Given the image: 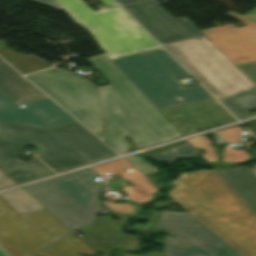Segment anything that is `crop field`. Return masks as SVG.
Masks as SVG:
<instances>
[{
	"mask_svg": "<svg viewBox=\"0 0 256 256\" xmlns=\"http://www.w3.org/2000/svg\"><path fill=\"white\" fill-rule=\"evenodd\" d=\"M27 145L56 172L117 155L77 122L49 130L0 123V169L16 184L53 174L34 155L18 160Z\"/></svg>",
	"mask_w": 256,
	"mask_h": 256,
	"instance_id": "crop-field-1",
	"label": "crop field"
},
{
	"mask_svg": "<svg viewBox=\"0 0 256 256\" xmlns=\"http://www.w3.org/2000/svg\"><path fill=\"white\" fill-rule=\"evenodd\" d=\"M87 60L110 84L99 89L105 117L104 140L114 150L119 154L128 151L123 138L126 135L137 148L181 136L105 54Z\"/></svg>",
	"mask_w": 256,
	"mask_h": 256,
	"instance_id": "crop-field-2",
	"label": "crop field"
},
{
	"mask_svg": "<svg viewBox=\"0 0 256 256\" xmlns=\"http://www.w3.org/2000/svg\"><path fill=\"white\" fill-rule=\"evenodd\" d=\"M169 193L185 210L244 256H256V215L215 171H196L173 181Z\"/></svg>",
	"mask_w": 256,
	"mask_h": 256,
	"instance_id": "crop-field-3",
	"label": "crop field"
},
{
	"mask_svg": "<svg viewBox=\"0 0 256 256\" xmlns=\"http://www.w3.org/2000/svg\"><path fill=\"white\" fill-rule=\"evenodd\" d=\"M112 62L158 110L212 98L200 85L184 89L176 79L189 74L163 49Z\"/></svg>",
	"mask_w": 256,
	"mask_h": 256,
	"instance_id": "crop-field-4",
	"label": "crop field"
},
{
	"mask_svg": "<svg viewBox=\"0 0 256 256\" xmlns=\"http://www.w3.org/2000/svg\"><path fill=\"white\" fill-rule=\"evenodd\" d=\"M79 25L87 28L111 59L160 49L120 7L92 12L82 0H55ZM108 6L113 0H101Z\"/></svg>",
	"mask_w": 256,
	"mask_h": 256,
	"instance_id": "crop-field-5",
	"label": "crop field"
},
{
	"mask_svg": "<svg viewBox=\"0 0 256 256\" xmlns=\"http://www.w3.org/2000/svg\"><path fill=\"white\" fill-rule=\"evenodd\" d=\"M90 169L23 187L71 231L91 220L101 202L103 182Z\"/></svg>",
	"mask_w": 256,
	"mask_h": 256,
	"instance_id": "crop-field-6",
	"label": "crop field"
},
{
	"mask_svg": "<svg viewBox=\"0 0 256 256\" xmlns=\"http://www.w3.org/2000/svg\"><path fill=\"white\" fill-rule=\"evenodd\" d=\"M164 47L218 100L254 87L210 40H192Z\"/></svg>",
	"mask_w": 256,
	"mask_h": 256,
	"instance_id": "crop-field-7",
	"label": "crop field"
},
{
	"mask_svg": "<svg viewBox=\"0 0 256 256\" xmlns=\"http://www.w3.org/2000/svg\"><path fill=\"white\" fill-rule=\"evenodd\" d=\"M25 77L101 138L102 116L93 83L72 72L56 68Z\"/></svg>",
	"mask_w": 256,
	"mask_h": 256,
	"instance_id": "crop-field-8",
	"label": "crop field"
},
{
	"mask_svg": "<svg viewBox=\"0 0 256 256\" xmlns=\"http://www.w3.org/2000/svg\"><path fill=\"white\" fill-rule=\"evenodd\" d=\"M68 232L47 210L18 215L0 198V244L11 256H27Z\"/></svg>",
	"mask_w": 256,
	"mask_h": 256,
	"instance_id": "crop-field-9",
	"label": "crop field"
},
{
	"mask_svg": "<svg viewBox=\"0 0 256 256\" xmlns=\"http://www.w3.org/2000/svg\"><path fill=\"white\" fill-rule=\"evenodd\" d=\"M155 227L178 235L165 238L166 256H241L188 213L162 212Z\"/></svg>",
	"mask_w": 256,
	"mask_h": 256,
	"instance_id": "crop-field-10",
	"label": "crop field"
},
{
	"mask_svg": "<svg viewBox=\"0 0 256 256\" xmlns=\"http://www.w3.org/2000/svg\"><path fill=\"white\" fill-rule=\"evenodd\" d=\"M161 44L204 36L187 18L175 19L156 0L124 6Z\"/></svg>",
	"mask_w": 256,
	"mask_h": 256,
	"instance_id": "crop-field-11",
	"label": "crop field"
},
{
	"mask_svg": "<svg viewBox=\"0 0 256 256\" xmlns=\"http://www.w3.org/2000/svg\"><path fill=\"white\" fill-rule=\"evenodd\" d=\"M226 15L246 24L236 28L232 24L202 30L223 54L234 64L256 61V24L230 11Z\"/></svg>",
	"mask_w": 256,
	"mask_h": 256,
	"instance_id": "crop-field-12",
	"label": "crop field"
},
{
	"mask_svg": "<svg viewBox=\"0 0 256 256\" xmlns=\"http://www.w3.org/2000/svg\"><path fill=\"white\" fill-rule=\"evenodd\" d=\"M19 109L0 92V122L51 128L75 121L48 98L28 102Z\"/></svg>",
	"mask_w": 256,
	"mask_h": 256,
	"instance_id": "crop-field-13",
	"label": "crop field"
},
{
	"mask_svg": "<svg viewBox=\"0 0 256 256\" xmlns=\"http://www.w3.org/2000/svg\"><path fill=\"white\" fill-rule=\"evenodd\" d=\"M182 134L196 132L195 124L201 129L232 119L213 99L164 109L160 111Z\"/></svg>",
	"mask_w": 256,
	"mask_h": 256,
	"instance_id": "crop-field-14",
	"label": "crop field"
},
{
	"mask_svg": "<svg viewBox=\"0 0 256 256\" xmlns=\"http://www.w3.org/2000/svg\"><path fill=\"white\" fill-rule=\"evenodd\" d=\"M119 227L120 225L109 216L97 218L89 224L88 228L81 229L87 236L81 240L95 251L96 249L104 250L105 254H109L111 248L123 243L118 239L125 240L127 250H132L138 241L133 236L122 233Z\"/></svg>",
	"mask_w": 256,
	"mask_h": 256,
	"instance_id": "crop-field-15",
	"label": "crop field"
},
{
	"mask_svg": "<svg viewBox=\"0 0 256 256\" xmlns=\"http://www.w3.org/2000/svg\"><path fill=\"white\" fill-rule=\"evenodd\" d=\"M0 91L16 105L45 97L2 60H0Z\"/></svg>",
	"mask_w": 256,
	"mask_h": 256,
	"instance_id": "crop-field-16",
	"label": "crop field"
},
{
	"mask_svg": "<svg viewBox=\"0 0 256 256\" xmlns=\"http://www.w3.org/2000/svg\"><path fill=\"white\" fill-rule=\"evenodd\" d=\"M117 182L108 183V189H119L128 194L129 199L146 203L155 199L156 189L149 179L135 168L120 175Z\"/></svg>",
	"mask_w": 256,
	"mask_h": 256,
	"instance_id": "crop-field-17",
	"label": "crop field"
},
{
	"mask_svg": "<svg viewBox=\"0 0 256 256\" xmlns=\"http://www.w3.org/2000/svg\"><path fill=\"white\" fill-rule=\"evenodd\" d=\"M216 172L256 214V175L248 168Z\"/></svg>",
	"mask_w": 256,
	"mask_h": 256,
	"instance_id": "crop-field-18",
	"label": "crop field"
},
{
	"mask_svg": "<svg viewBox=\"0 0 256 256\" xmlns=\"http://www.w3.org/2000/svg\"><path fill=\"white\" fill-rule=\"evenodd\" d=\"M94 253L89 246L74 234H69L36 254L42 256H81L78 252Z\"/></svg>",
	"mask_w": 256,
	"mask_h": 256,
	"instance_id": "crop-field-19",
	"label": "crop field"
},
{
	"mask_svg": "<svg viewBox=\"0 0 256 256\" xmlns=\"http://www.w3.org/2000/svg\"><path fill=\"white\" fill-rule=\"evenodd\" d=\"M5 46L7 45H0V48ZM0 57H2L23 74L50 67L47 65L46 61L34 55H23L9 48L1 49Z\"/></svg>",
	"mask_w": 256,
	"mask_h": 256,
	"instance_id": "crop-field-20",
	"label": "crop field"
},
{
	"mask_svg": "<svg viewBox=\"0 0 256 256\" xmlns=\"http://www.w3.org/2000/svg\"><path fill=\"white\" fill-rule=\"evenodd\" d=\"M0 197L18 214L45 209L22 188L0 194Z\"/></svg>",
	"mask_w": 256,
	"mask_h": 256,
	"instance_id": "crop-field-21",
	"label": "crop field"
},
{
	"mask_svg": "<svg viewBox=\"0 0 256 256\" xmlns=\"http://www.w3.org/2000/svg\"><path fill=\"white\" fill-rule=\"evenodd\" d=\"M221 103L237 117L249 114L248 110L256 105V87L223 100Z\"/></svg>",
	"mask_w": 256,
	"mask_h": 256,
	"instance_id": "crop-field-22",
	"label": "crop field"
},
{
	"mask_svg": "<svg viewBox=\"0 0 256 256\" xmlns=\"http://www.w3.org/2000/svg\"><path fill=\"white\" fill-rule=\"evenodd\" d=\"M196 153L197 151L192 147L190 143H188L183 146L164 152L162 154H159L153 157L152 159L160 162H167L176 159L179 155L183 157H191Z\"/></svg>",
	"mask_w": 256,
	"mask_h": 256,
	"instance_id": "crop-field-23",
	"label": "crop field"
},
{
	"mask_svg": "<svg viewBox=\"0 0 256 256\" xmlns=\"http://www.w3.org/2000/svg\"><path fill=\"white\" fill-rule=\"evenodd\" d=\"M189 142L193 147L199 152L203 151L201 154L207 162H217L218 159L214 153V148L211 145V141L204 136H199L196 138L189 139Z\"/></svg>",
	"mask_w": 256,
	"mask_h": 256,
	"instance_id": "crop-field-24",
	"label": "crop field"
},
{
	"mask_svg": "<svg viewBox=\"0 0 256 256\" xmlns=\"http://www.w3.org/2000/svg\"><path fill=\"white\" fill-rule=\"evenodd\" d=\"M132 167L133 166L130 165L127 161H125L124 159H121V160L110 162L104 165L93 167V169L100 175L115 176Z\"/></svg>",
	"mask_w": 256,
	"mask_h": 256,
	"instance_id": "crop-field-25",
	"label": "crop field"
},
{
	"mask_svg": "<svg viewBox=\"0 0 256 256\" xmlns=\"http://www.w3.org/2000/svg\"><path fill=\"white\" fill-rule=\"evenodd\" d=\"M256 158V150H252L249 154L246 151H237L233 148L223 150L222 162L228 163H241L249 159Z\"/></svg>",
	"mask_w": 256,
	"mask_h": 256,
	"instance_id": "crop-field-26",
	"label": "crop field"
},
{
	"mask_svg": "<svg viewBox=\"0 0 256 256\" xmlns=\"http://www.w3.org/2000/svg\"><path fill=\"white\" fill-rule=\"evenodd\" d=\"M243 129L241 127H235V128H231V129H227V130H223V131H219L218 133L228 142V143H232V142H243L240 138L245 137L243 136L240 131H242Z\"/></svg>",
	"mask_w": 256,
	"mask_h": 256,
	"instance_id": "crop-field-27",
	"label": "crop field"
},
{
	"mask_svg": "<svg viewBox=\"0 0 256 256\" xmlns=\"http://www.w3.org/2000/svg\"><path fill=\"white\" fill-rule=\"evenodd\" d=\"M256 86V62L236 66Z\"/></svg>",
	"mask_w": 256,
	"mask_h": 256,
	"instance_id": "crop-field-28",
	"label": "crop field"
},
{
	"mask_svg": "<svg viewBox=\"0 0 256 256\" xmlns=\"http://www.w3.org/2000/svg\"><path fill=\"white\" fill-rule=\"evenodd\" d=\"M128 159L132 164H134L138 169H140L144 174L152 173L158 170V168L146 163L139 156H132Z\"/></svg>",
	"mask_w": 256,
	"mask_h": 256,
	"instance_id": "crop-field-29",
	"label": "crop field"
},
{
	"mask_svg": "<svg viewBox=\"0 0 256 256\" xmlns=\"http://www.w3.org/2000/svg\"><path fill=\"white\" fill-rule=\"evenodd\" d=\"M185 143H188V141L186 140V141L179 142V143H176V144H172V145H168V146L161 147V148H158V149H154V150H151V151H147V152H145V155L152 157L156 154L162 153L164 151H167L169 149H172V148H175L177 146L183 145Z\"/></svg>",
	"mask_w": 256,
	"mask_h": 256,
	"instance_id": "crop-field-30",
	"label": "crop field"
},
{
	"mask_svg": "<svg viewBox=\"0 0 256 256\" xmlns=\"http://www.w3.org/2000/svg\"><path fill=\"white\" fill-rule=\"evenodd\" d=\"M11 185H15L14 181L11 180L0 170V188H4Z\"/></svg>",
	"mask_w": 256,
	"mask_h": 256,
	"instance_id": "crop-field-31",
	"label": "crop field"
},
{
	"mask_svg": "<svg viewBox=\"0 0 256 256\" xmlns=\"http://www.w3.org/2000/svg\"><path fill=\"white\" fill-rule=\"evenodd\" d=\"M54 9L62 10V8L54 0H30Z\"/></svg>",
	"mask_w": 256,
	"mask_h": 256,
	"instance_id": "crop-field-32",
	"label": "crop field"
},
{
	"mask_svg": "<svg viewBox=\"0 0 256 256\" xmlns=\"http://www.w3.org/2000/svg\"><path fill=\"white\" fill-rule=\"evenodd\" d=\"M254 22H256V8L250 10L249 12L245 13L244 15H242Z\"/></svg>",
	"mask_w": 256,
	"mask_h": 256,
	"instance_id": "crop-field-33",
	"label": "crop field"
},
{
	"mask_svg": "<svg viewBox=\"0 0 256 256\" xmlns=\"http://www.w3.org/2000/svg\"><path fill=\"white\" fill-rule=\"evenodd\" d=\"M245 126L248 127L250 132L256 136V121L245 124Z\"/></svg>",
	"mask_w": 256,
	"mask_h": 256,
	"instance_id": "crop-field-34",
	"label": "crop field"
},
{
	"mask_svg": "<svg viewBox=\"0 0 256 256\" xmlns=\"http://www.w3.org/2000/svg\"><path fill=\"white\" fill-rule=\"evenodd\" d=\"M210 134L214 136V139L216 140L217 144H226L217 133L213 132Z\"/></svg>",
	"mask_w": 256,
	"mask_h": 256,
	"instance_id": "crop-field-35",
	"label": "crop field"
},
{
	"mask_svg": "<svg viewBox=\"0 0 256 256\" xmlns=\"http://www.w3.org/2000/svg\"><path fill=\"white\" fill-rule=\"evenodd\" d=\"M121 5L132 3V2H137L141 0H117Z\"/></svg>",
	"mask_w": 256,
	"mask_h": 256,
	"instance_id": "crop-field-36",
	"label": "crop field"
},
{
	"mask_svg": "<svg viewBox=\"0 0 256 256\" xmlns=\"http://www.w3.org/2000/svg\"><path fill=\"white\" fill-rule=\"evenodd\" d=\"M135 256H164V255L162 253L155 252V253L148 254V255H135Z\"/></svg>",
	"mask_w": 256,
	"mask_h": 256,
	"instance_id": "crop-field-37",
	"label": "crop field"
},
{
	"mask_svg": "<svg viewBox=\"0 0 256 256\" xmlns=\"http://www.w3.org/2000/svg\"><path fill=\"white\" fill-rule=\"evenodd\" d=\"M4 252V251H3ZM1 250H0V256H7L5 253H3Z\"/></svg>",
	"mask_w": 256,
	"mask_h": 256,
	"instance_id": "crop-field-38",
	"label": "crop field"
},
{
	"mask_svg": "<svg viewBox=\"0 0 256 256\" xmlns=\"http://www.w3.org/2000/svg\"><path fill=\"white\" fill-rule=\"evenodd\" d=\"M252 171L256 174V165L253 167Z\"/></svg>",
	"mask_w": 256,
	"mask_h": 256,
	"instance_id": "crop-field-39",
	"label": "crop field"
},
{
	"mask_svg": "<svg viewBox=\"0 0 256 256\" xmlns=\"http://www.w3.org/2000/svg\"><path fill=\"white\" fill-rule=\"evenodd\" d=\"M254 1H256V0H254Z\"/></svg>",
	"mask_w": 256,
	"mask_h": 256,
	"instance_id": "crop-field-40",
	"label": "crop field"
}]
</instances>
